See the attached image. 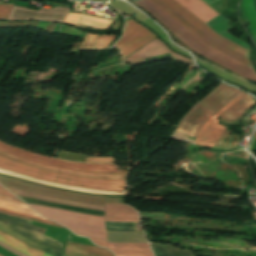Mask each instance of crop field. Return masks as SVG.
<instances>
[{
	"label": "crop field",
	"mask_w": 256,
	"mask_h": 256,
	"mask_svg": "<svg viewBox=\"0 0 256 256\" xmlns=\"http://www.w3.org/2000/svg\"><path fill=\"white\" fill-rule=\"evenodd\" d=\"M44 256H51V255H49V254L46 253Z\"/></svg>",
	"instance_id": "028f5c9d"
},
{
	"label": "crop field",
	"mask_w": 256,
	"mask_h": 256,
	"mask_svg": "<svg viewBox=\"0 0 256 256\" xmlns=\"http://www.w3.org/2000/svg\"><path fill=\"white\" fill-rule=\"evenodd\" d=\"M205 24L217 17L218 14L201 0H176Z\"/></svg>",
	"instance_id": "d9b57169"
},
{
	"label": "crop field",
	"mask_w": 256,
	"mask_h": 256,
	"mask_svg": "<svg viewBox=\"0 0 256 256\" xmlns=\"http://www.w3.org/2000/svg\"><path fill=\"white\" fill-rule=\"evenodd\" d=\"M0 246L3 247L4 249H6L7 251H9V252H11V253L17 255V256H27V255L23 254L22 252H20V251H18V250H16V249H14V248H12V247H10V246L4 244V243L1 242V241H0Z\"/></svg>",
	"instance_id": "1d83c4d3"
},
{
	"label": "crop field",
	"mask_w": 256,
	"mask_h": 256,
	"mask_svg": "<svg viewBox=\"0 0 256 256\" xmlns=\"http://www.w3.org/2000/svg\"><path fill=\"white\" fill-rule=\"evenodd\" d=\"M245 93H241L235 99H233L230 103H228L225 107L211 116L203 127L200 129L194 143L200 145H206L214 147L216 141L218 140L221 133L224 131L225 127L218 125V120L215 118L221 114L224 110H226L229 106L235 103L238 99H240Z\"/></svg>",
	"instance_id": "3316defc"
},
{
	"label": "crop field",
	"mask_w": 256,
	"mask_h": 256,
	"mask_svg": "<svg viewBox=\"0 0 256 256\" xmlns=\"http://www.w3.org/2000/svg\"><path fill=\"white\" fill-rule=\"evenodd\" d=\"M207 45L251 68L248 51L220 37L174 0H151Z\"/></svg>",
	"instance_id": "ac0d7876"
},
{
	"label": "crop field",
	"mask_w": 256,
	"mask_h": 256,
	"mask_svg": "<svg viewBox=\"0 0 256 256\" xmlns=\"http://www.w3.org/2000/svg\"><path fill=\"white\" fill-rule=\"evenodd\" d=\"M99 35H92V34H86L85 38L83 39L79 49H88L92 50L95 42L97 41Z\"/></svg>",
	"instance_id": "eef30255"
},
{
	"label": "crop field",
	"mask_w": 256,
	"mask_h": 256,
	"mask_svg": "<svg viewBox=\"0 0 256 256\" xmlns=\"http://www.w3.org/2000/svg\"><path fill=\"white\" fill-rule=\"evenodd\" d=\"M134 22L131 19L126 22L123 37L115 45V47H117L122 52L123 57H126L156 37Z\"/></svg>",
	"instance_id": "5a996713"
},
{
	"label": "crop field",
	"mask_w": 256,
	"mask_h": 256,
	"mask_svg": "<svg viewBox=\"0 0 256 256\" xmlns=\"http://www.w3.org/2000/svg\"><path fill=\"white\" fill-rule=\"evenodd\" d=\"M135 3L149 12L192 50L245 78L256 81V74L252 69L207 46L150 0H139L135 1Z\"/></svg>",
	"instance_id": "8a807250"
},
{
	"label": "crop field",
	"mask_w": 256,
	"mask_h": 256,
	"mask_svg": "<svg viewBox=\"0 0 256 256\" xmlns=\"http://www.w3.org/2000/svg\"><path fill=\"white\" fill-rule=\"evenodd\" d=\"M0 183L7 187L23 189V190H27V191H31L39 194H44V195L64 198V199H71V200L81 201V202H89V203H96V204H102V205H104V203H112V204L124 203L122 199L71 193V192H67L59 189H54L50 187L40 186V185H36V184L24 182V181L12 179L2 175H0Z\"/></svg>",
	"instance_id": "dd49c442"
},
{
	"label": "crop field",
	"mask_w": 256,
	"mask_h": 256,
	"mask_svg": "<svg viewBox=\"0 0 256 256\" xmlns=\"http://www.w3.org/2000/svg\"><path fill=\"white\" fill-rule=\"evenodd\" d=\"M0 256H2V255H0Z\"/></svg>",
	"instance_id": "0bd39190"
},
{
	"label": "crop field",
	"mask_w": 256,
	"mask_h": 256,
	"mask_svg": "<svg viewBox=\"0 0 256 256\" xmlns=\"http://www.w3.org/2000/svg\"><path fill=\"white\" fill-rule=\"evenodd\" d=\"M155 256H192L189 251L174 249L167 245L150 244Z\"/></svg>",
	"instance_id": "dafd665d"
},
{
	"label": "crop field",
	"mask_w": 256,
	"mask_h": 256,
	"mask_svg": "<svg viewBox=\"0 0 256 256\" xmlns=\"http://www.w3.org/2000/svg\"><path fill=\"white\" fill-rule=\"evenodd\" d=\"M115 38V35H101L94 50H101L108 48L110 43L113 41Z\"/></svg>",
	"instance_id": "ae1a2a85"
},
{
	"label": "crop field",
	"mask_w": 256,
	"mask_h": 256,
	"mask_svg": "<svg viewBox=\"0 0 256 256\" xmlns=\"http://www.w3.org/2000/svg\"><path fill=\"white\" fill-rule=\"evenodd\" d=\"M0 240L4 243L30 255V256H43L44 252L16 239L3 232H0Z\"/></svg>",
	"instance_id": "214f88e0"
},
{
	"label": "crop field",
	"mask_w": 256,
	"mask_h": 256,
	"mask_svg": "<svg viewBox=\"0 0 256 256\" xmlns=\"http://www.w3.org/2000/svg\"><path fill=\"white\" fill-rule=\"evenodd\" d=\"M254 103L255 101H253V98L246 94L218 117L233 121L241 116L244 110L252 106Z\"/></svg>",
	"instance_id": "bc2a9ffb"
},
{
	"label": "crop field",
	"mask_w": 256,
	"mask_h": 256,
	"mask_svg": "<svg viewBox=\"0 0 256 256\" xmlns=\"http://www.w3.org/2000/svg\"><path fill=\"white\" fill-rule=\"evenodd\" d=\"M107 230L138 231L136 223L105 222Z\"/></svg>",
	"instance_id": "4177f3b9"
},
{
	"label": "crop field",
	"mask_w": 256,
	"mask_h": 256,
	"mask_svg": "<svg viewBox=\"0 0 256 256\" xmlns=\"http://www.w3.org/2000/svg\"><path fill=\"white\" fill-rule=\"evenodd\" d=\"M30 206L40 214L66 226L77 235L107 240L104 217L84 215L45 206Z\"/></svg>",
	"instance_id": "f4fd0767"
},
{
	"label": "crop field",
	"mask_w": 256,
	"mask_h": 256,
	"mask_svg": "<svg viewBox=\"0 0 256 256\" xmlns=\"http://www.w3.org/2000/svg\"><path fill=\"white\" fill-rule=\"evenodd\" d=\"M239 93L241 91L220 84L188 112L177 132L195 137L204 122Z\"/></svg>",
	"instance_id": "412701ff"
},
{
	"label": "crop field",
	"mask_w": 256,
	"mask_h": 256,
	"mask_svg": "<svg viewBox=\"0 0 256 256\" xmlns=\"http://www.w3.org/2000/svg\"><path fill=\"white\" fill-rule=\"evenodd\" d=\"M0 168L53 183L111 191H124L125 189L126 180H100L61 175L15 163L2 157H0Z\"/></svg>",
	"instance_id": "34b2d1b8"
},
{
	"label": "crop field",
	"mask_w": 256,
	"mask_h": 256,
	"mask_svg": "<svg viewBox=\"0 0 256 256\" xmlns=\"http://www.w3.org/2000/svg\"><path fill=\"white\" fill-rule=\"evenodd\" d=\"M0 156L20 162V163H24V164H27V165H30L33 167H37V168H41V169H45V170H49V171H54V172L65 173V174H69V175H75V176L102 178V179H126V176H127V174H113V173L99 174V173H93V172H83V171L60 169V168L44 165L41 163H37V162L17 158L14 156H10V155L4 154L2 152H0Z\"/></svg>",
	"instance_id": "d1516ede"
},
{
	"label": "crop field",
	"mask_w": 256,
	"mask_h": 256,
	"mask_svg": "<svg viewBox=\"0 0 256 256\" xmlns=\"http://www.w3.org/2000/svg\"><path fill=\"white\" fill-rule=\"evenodd\" d=\"M0 193H1V194H4V195H7V196H9V197L17 198V197L14 196L12 193H10L9 191H6V190L0 189Z\"/></svg>",
	"instance_id": "120bbe31"
},
{
	"label": "crop field",
	"mask_w": 256,
	"mask_h": 256,
	"mask_svg": "<svg viewBox=\"0 0 256 256\" xmlns=\"http://www.w3.org/2000/svg\"><path fill=\"white\" fill-rule=\"evenodd\" d=\"M0 197H3V198H5V199H9V200H13V201H16V202H19V203H22V204H24L21 200H18V199H13V198H9V197H7V196H4V195H1L0 194Z\"/></svg>",
	"instance_id": "d32e631a"
},
{
	"label": "crop field",
	"mask_w": 256,
	"mask_h": 256,
	"mask_svg": "<svg viewBox=\"0 0 256 256\" xmlns=\"http://www.w3.org/2000/svg\"><path fill=\"white\" fill-rule=\"evenodd\" d=\"M0 212L5 213V214H9V215H13V216H17V217H21V218H25V219H29V220H33V221H37V222H41V223H45V224H49V225H53V226L61 227V226H59L55 223H51V222H48V221H45V220H41V219H37V218H33V217L21 215V214H17V213H13V212L1 210V209H0Z\"/></svg>",
	"instance_id": "750c4746"
},
{
	"label": "crop field",
	"mask_w": 256,
	"mask_h": 256,
	"mask_svg": "<svg viewBox=\"0 0 256 256\" xmlns=\"http://www.w3.org/2000/svg\"><path fill=\"white\" fill-rule=\"evenodd\" d=\"M64 23L74 25L79 28L109 29L113 21L69 11Z\"/></svg>",
	"instance_id": "cbeb9de0"
},
{
	"label": "crop field",
	"mask_w": 256,
	"mask_h": 256,
	"mask_svg": "<svg viewBox=\"0 0 256 256\" xmlns=\"http://www.w3.org/2000/svg\"><path fill=\"white\" fill-rule=\"evenodd\" d=\"M167 53L172 55L175 58V60H177V61L191 64V61L189 59L179 56V55L173 53L172 51H170L166 47V45L162 41H160L158 38L155 39L154 41L150 42L146 46H144L142 49H140L139 51L134 53L132 56H130L126 60L136 64L146 58L156 57V56H160V55L167 54Z\"/></svg>",
	"instance_id": "28ad6ade"
},
{
	"label": "crop field",
	"mask_w": 256,
	"mask_h": 256,
	"mask_svg": "<svg viewBox=\"0 0 256 256\" xmlns=\"http://www.w3.org/2000/svg\"><path fill=\"white\" fill-rule=\"evenodd\" d=\"M56 157L67 159V160L83 161L84 162L85 158H86V155H78V154L59 151Z\"/></svg>",
	"instance_id": "d3111659"
},
{
	"label": "crop field",
	"mask_w": 256,
	"mask_h": 256,
	"mask_svg": "<svg viewBox=\"0 0 256 256\" xmlns=\"http://www.w3.org/2000/svg\"><path fill=\"white\" fill-rule=\"evenodd\" d=\"M0 208L2 209H6V210H10L13 212H17V213H21V214H25V215H29V216H33V217H37V218H41L44 219L40 216H38L32 209H30L29 207L25 206V205H21L18 203H14L5 199L0 198ZM46 220V219H45Z\"/></svg>",
	"instance_id": "00972430"
},
{
	"label": "crop field",
	"mask_w": 256,
	"mask_h": 256,
	"mask_svg": "<svg viewBox=\"0 0 256 256\" xmlns=\"http://www.w3.org/2000/svg\"><path fill=\"white\" fill-rule=\"evenodd\" d=\"M94 244L110 249L115 256H153L148 244H120L91 239Z\"/></svg>",
	"instance_id": "22f410ed"
},
{
	"label": "crop field",
	"mask_w": 256,
	"mask_h": 256,
	"mask_svg": "<svg viewBox=\"0 0 256 256\" xmlns=\"http://www.w3.org/2000/svg\"><path fill=\"white\" fill-rule=\"evenodd\" d=\"M0 151L5 152L10 155L26 158L29 160L58 166L64 167L69 169H76V170H84V171H93L99 173H128L127 171L119 172L113 164H89V163H71L65 162L61 160L54 159L53 157H47L43 155H39L33 152H29L5 143L0 142Z\"/></svg>",
	"instance_id": "e52e79f7"
},
{
	"label": "crop field",
	"mask_w": 256,
	"mask_h": 256,
	"mask_svg": "<svg viewBox=\"0 0 256 256\" xmlns=\"http://www.w3.org/2000/svg\"><path fill=\"white\" fill-rule=\"evenodd\" d=\"M230 132H231V131L226 128V130H225V131L223 132V134L220 136V138H219L218 142L216 143L215 147L230 148V145H231L232 141L234 140V138H235V136H236V135H234V137L232 138L230 144L227 146L229 140H230L231 137L233 136V133H232V135L230 136V138L228 139V141H227L226 144L224 145V142H225L227 136L230 134ZM238 143H239V137H237V139H236V141H235V143H234V145H233L232 148H236L237 145H238Z\"/></svg>",
	"instance_id": "730fd06b"
},
{
	"label": "crop field",
	"mask_w": 256,
	"mask_h": 256,
	"mask_svg": "<svg viewBox=\"0 0 256 256\" xmlns=\"http://www.w3.org/2000/svg\"><path fill=\"white\" fill-rule=\"evenodd\" d=\"M8 189H10L12 192H14L15 194H17L19 196H22V197L34 198V199H39V200L56 202V203H60V204L75 205V206H80V207H84V208H90V209L105 211L104 206H101V205L74 202V201L57 199V198H53V197L43 196V195L30 193V192H25V191L16 190V189H11V188H8Z\"/></svg>",
	"instance_id": "4a817a6b"
},
{
	"label": "crop field",
	"mask_w": 256,
	"mask_h": 256,
	"mask_svg": "<svg viewBox=\"0 0 256 256\" xmlns=\"http://www.w3.org/2000/svg\"><path fill=\"white\" fill-rule=\"evenodd\" d=\"M0 172L1 173H5V174H9V175H13V176H16V177H19V178L35 181V182H38V183L46 184V185H51V186H56V187H61V188H66V189H72V190H77V191L91 192V193H100V194H122V192L101 191V190L84 189V188H77V187L53 184V183H49V182L33 179V178H30V177H26V176H23V175H20V174H16V173H13V172H9V171H6V170H2V169H0Z\"/></svg>",
	"instance_id": "92a150f3"
},
{
	"label": "crop field",
	"mask_w": 256,
	"mask_h": 256,
	"mask_svg": "<svg viewBox=\"0 0 256 256\" xmlns=\"http://www.w3.org/2000/svg\"><path fill=\"white\" fill-rule=\"evenodd\" d=\"M12 5L0 4V21H6Z\"/></svg>",
	"instance_id": "bd1437ed"
},
{
	"label": "crop field",
	"mask_w": 256,
	"mask_h": 256,
	"mask_svg": "<svg viewBox=\"0 0 256 256\" xmlns=\"http://www.w3.org/2000/svg\"><path fill=\"white\" fill-rule=\"evenodd\" d=\"M105 221L112 222H140L138 213L126 205L105 204Z\"/></svg>",
	"instance_id": "5142ce71"
},
{
	"label": "crop field",
	"mask_w": 256,
	"mask_h": 256,
	"mask_svg": "<svg viewBox=\"0 0 256 256\" xmlns=\"http://www.w3.org/2000/svg\"><path fill=\"white\" fill-rule=\"evenodd\" d=\"M65 253L67 256H112L111 252L87 245L66 242Z\"/></svg>",
	"instance_id": "733c2abd"
},
{
	"label": "crop field",
	"mask_w": 256,
	"mask_h": 256,
	"mask_svg": "<svg viewBox=\"0 0 256 256\" xmlns=\"http://www.w3.org/2000/svg\"><path fill=\"white\" fill-rule=\"evenodd\" d=\"M0 188L5 189V188H4V187H2L1 185H0Z\"/></svg>",
	"instance_id": "e1f06a70"
},
{
	"label": "crop field",
	"mask_w": 256,
	"mask_h": 256,
	"mask_svg": "<svg viewBox=\"0 0 256 256\" xmlns=\"http://www.w3.org/2000/svg\"><path fill=\"white\" fill-rule=\"evenodd\" d=\"M205 2H207L208 4H210V3H212V2H214V1H216V0H211V1H209V0H204Z\"/></svg>",
	"instance_id": "5866460e"
},
{
	"label": "crop field",
	"mask_w": 256,
	"mask_h": 256,
	"mask_svg": "<svg viewBox=\"0 0 256 256\" xmlns=\"http://www.w3.org/2000/svg\"><path fill=\"white\" fill-rule=\"evenodd\" d=\"M0 220L7 223L10 226V228L21 233L22 235L38 243L46 245L54 250L61 252V248H62L61 243L43 235L45 228L33 226L31 225V221L29 220H25V219L13 217V216L1 214V213H0Z\"/></svg>",
	"instance_id": "d8731c3e"
},
{
	"label": "crop field",
	"mask_w": 256,
	"mask_h": 256,
	"mask_svg": "<svg viewBox=\"0 0 256 256\" xmlns=\"http://www.w3.org/2000/svg\"><path fill=\"white\" fill-rule=\"evenodd\" d=\"M0 231L6 232V233H8V234L18 238V239H20V240L30 244V245H33V246H35V247H37V248H39V249H41V250H43L45 252H48V253L52 254L54 256H64V255H62L60 253H57V252H55V251H53V250H51V249H49V248H47L45 246H42V245H40L38 243H35V242H33V241H31V240H29V239H27V238L17 234L16 232L10 230L8 228V226L3 224V223H0Z\"/></svg>",
	"instance_id": "a9b5d70f"
}]
</instances>
